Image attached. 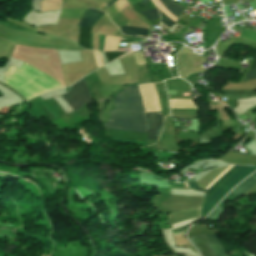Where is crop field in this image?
I'll list each match as a JSON object with an SVG mask.
<instances>
[{
    "label": "crop field",
    "instance_id": "2",
    "mask_svg": "<svg viewBox=\"0 0 256 256\" xmlns=\"http://www.w3.org/2000/svg\"><path fill=\"white\" fill-rule=\"evenodd\" d=\"M226 169L221 175H219L213 182H211L206 189L212 186L220 177H222L229 169ZM242 166H234L229 170L221 179H219L212 187H210L205 194L204 201L211 196L223 183H225L236 171H238ZM250 166H243L238 172H236L224 185H222L211 197H209L203 204L201 213L235 180L237 179L245 170ZM256 170L255 166H251L246 172H244L236 181H234L202 214L204 217L218 202L219 200L227 194L236 184L242 181L250 173Z\"/></svg>",
    "mask_w": 256,
    "mask_h": 256
},
{
    "label": "crop field",
    "instance_id": "5",
    "mask_svg": "<svg viewBox=\"0 0 256 256\" xmlns=\"http://www.w3.org/2000/svg\"><path fill=\"white\" fill-rule=\"evenodd\" d=\"M104 13L88 9L85 14L83 15L79 25L82 27H92V25L102 16Z\"/></svg>",
    "mask_w": 256,
    "mask_h": 256
},
{
    "label": "crop field",
    "instance_id": "11",
    "mask_svg": "<svg viewBox=\"0 0 256 256\" xmlns=\"http://www.w3.org/2000/svg\"><path fill=\"white\" fill-rule=\"evenodd\" d=\"M121 31L124 35H139V36H145V33L147 30L144 29H137V28H128V27H122Z\"/></svg>",
    "mask_w": 256,
    "mask_h": 256
},
{
    "label": "crop field",
    "instance_id": "16",
    "mask_svg": "<svg viewBox=\"0 0 256 256\" xmlns=\"http://www.w3.org/2000/svg\"><path fill=\"white\" fill-rule=\"evenodd\" d=\"M159 12H160V15H161V22H162L163 24H165L168 28H169L170 26L176 24V23H174L173 21H171L168 17H166L160 10H159ZM162 23H161V24H162ZM166 26H165V27H166Z\"/></svg>",
    "mask_w": 256,
    "mask_h": 256
},
{
    "label": "crop field",
    "instance_id": "17",
    "mask_svg": "<svg viewBox=\"0 0 256 256\" xmlns=\"http://www.w3.org/2000/svg\"><path fill=\"white\" fill-rule=\"evenodd\" d=\"M148 2H149V0H142V2H141V5L146 6L147 10H149Z\"/></svg>",
    "mask_w": 256,
    "mask_h": 256
},
{
    "label": "crop field",
    "instance_id": "6",
    "mask_svg": "<svg viewBox=\"0 0 256 256\" xmlns=\"http://www.w3.org/2000/svg\"><path fill=\"white\" fill-rule=\"evenodd\" d=\"M190 240L196 244L202 256H214V253L204 235L190 238Z\"/></svg>",
    "mask_w": 256,
    "mask_h": 256
},
{
    "label": "crop field",
    "instance_id": "8",
    "mask_svg": "<svg viewBox=\"0 0 256 256\" xmlns=\"http://www.w3.org/2000/svg\"><path fill=\"white\" fill-rule=\"evenodd\" d=\"M91 28H80L78 36V45L89 49V32Z\"/></svg>",
    "mask_w": 256,
    "mask_h": 256
},
{
    "label": "crop field",
    "instance_id": "13",
    "mask_svg": "<svg viewBox=\"0 0 256 256\" xmlns=\"http://www.w3.org/2000/svg\"><path fill=\"white\" fill-rule=\"evenodd\" d=\"M140 13L144 15L149 21L159 18V12L157 9L151 11H144Z\"/></svg>",
    "mask_w": 256,
    "mask_h": 256
},
{
    "label": "crop field",
    "instance_id": "1",
    "mask_svg": "<svg viewBox=\"0 0 256 256\" xmlns=\"http://www.w3.org/2000/svg\"><path fill=\"white\" fill-rule=\"evenodd\" d=\"M116 109L144 112L137 86L127 87L114 97ZM114 110L111 121L104 123L105 128L146 133L143 113Z\"/></svg>",
    "mask_w": 256,
    "mask_h": 256
},
{
    "label": "crop field",
    "instance_id": "3",
    "mask_svg": "<svg viewBox=\"0 0 256 256\" xmlns=\"http://www.w3.org/2000/svg\"><path fill=\"white\" fill-rule=\"evenodd\" d=\"M62 97L75 111H77L80 106L90 103L91 96L85 78L80 79L76 84L72 85L69 92Z\"/></svg>",
    "mask_w": 256,
    "mask_h": 256
},
{
    "label": "crop field",
    "instance_id": "12",
    "mask_svg": "<svg viewBox=\"0 0 256 256\" xmlns=\"http://www.w3.org/2000/svg\"><path fill=\"white\" fill-rule=\"evenodd\" d=\"M155 5L159 7V9L166 15L168 16L171 20L177 23V17L173 16L162 4L159 0H153Z\"/></svg>",
    "mask_w": 256,
    "mask_h": 256
},
{
    "label": "crop field",
    "instance_id": "7",
    "mask_svg": "<svg viewBox=\"0 0 256 256\" xmlns=\"http://www.w3.org/2000/svg\"><path fill=\"white\" fill-rule=\"evenodd\" d=\"M254 183H256V172L244 180L241 184H239L235 189L231 191V193L241 196L245 193Z\"/></svg>",
    "mask_w": 256,
    "mask_h": 256
},
{
    "label": "crop field",
    "instance_id": "18",
    "mask_svg": "<svg viewBox=\"0 0 256 256\" xmlns=\"http://www.w3.org/2000/svg\"><path fill=\"white\" fill-rule=\"evenodd\" d=\"M117 0H112L109 4H107L108 7H110L113 3H115Z\"/></svg>",
    "mask_w": 256,
    "mask_h": 256
},
{
    "label": "crop field",
    "instance_id": "9",
    "mask_svg": "<svg viewBox=\"0 0 256 256\" xmlns=\"http://www.w3.org/2000/svg\"><path fill=\"white\" fill-rule=\"evenodd\" d=\"M210 245L215 251L216 256H227V254L224 252L220 242L213 236V235H206Z\"/></svg>",
    "mask_w": 256,
    "mask_h": 256
},
{
    "label": "crop field",
    "instance_id": "14",
    "mask_svg": "<svg viewBox=\"0 0 256 256\" xmlns=\"http://www.w3.org/2000/svg\"><path fill=\"white\" fill-rule=\"evenodd\" d=\"M124 54H126V52H105L108 62H110Z\"/></svg>",
    "mask_w": 256,
    "mask_h": 256
},
{
    "label": "crop field",
    "instance_id": "4",
    "mask_svg": "<svg viewBox=\"0 0 256 256\" xmlns=\"http://www.w3.org/2000/svg\"><path fill=\"white\" fill-rule=\"evenodd\" d=\"M147 139H157L163 126L160 112L145 113Z\"/></svg>",
    "mask_w": 256,
    "mask_h": 256
},
{
    "label": "crop field",
    "instance_id": "15",
    "mask_svg": "<svg viewBox=\"0 0 256 256\" xmlns=\"http://www.w3.org/2000/svg\"><path fill=\"white\" fill-rule=\"evenodd\" d=\"M255 64H256V53H255V56H254V61H253V67H252V70L254 71L255 69ZM253 71H250L246 74V78H245V81L246 80H250V79H255L256 78V69H255V72Z\"/></svg>",
    "mask_w": 256,
    "mask_h": 256
},
{
    "label": "crop field",
    "instance_id": "10",
    "mask_svg": "<svg viewBox=\"0 0 256 256\" xmlns=\"http://www.w3.org/2000/svg\"><path fill=\"white\" fill-rule=\"evenodd\" d=\"M162 4L175 16H179L182 12L183 7L170 1V0H160Z\"/></svg>",
    "mask_w": 256,
    "mask_h": 256
}]
</instances>
